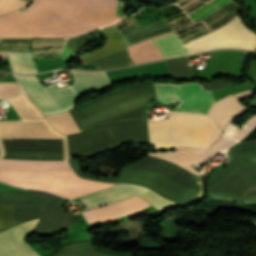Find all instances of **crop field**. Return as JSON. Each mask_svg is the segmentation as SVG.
Masks as SVG:
<instances>
[{
	"mask_svg": "<svg viewBox=\"0 0 256 256\" xmlns=\"http://www.w3.org/2000/svg\"><path fill=\"white\" fill-rule=\"evenodd\" d=\"M117 0H33L0 17V38L71 37L113 22Z\"/></svg>",
	"mask_w": 256,
	"mask_h": 256,
	"instance_id": "1",
	"label": "crop field"
},
{
	"mask_svg": "<svg viewBox=\"0 0 256 256\" xmlns=\"http://www.w3.org/2000/svg\"><path fill=\"white\" fill-rule=\"evenodd\" d=\"M189 168L190 156L182 152L150 153ZM147 155L125 166L119 182L147 187L153 192L175 202L186 203L199 193L200 175L160 157Z\"/></svg>",
	"mask_w": 256,
	"mask_h": 256,
	"instance_id": "2",
	"label": "crop field"
},
{
	"mask_svg": "<svg viewBox=\"0 0 256 256\" xmlns=\"http://www.w3.org/2000/svg\"><path fill=\"white\" fill-rule=\"evenodd\" d=\"M0 169L31 172H73L68 161L0 159ZM0 180L12 184L49 190L70 199L109 188L115 184L90 181L75 173H28L0 171Z\"/></svg>",
	"mask_w": 256,
	"mask_h": 256,
	"instance_id": "3",
	"label": "crop field"
},
{
	"mask_svg": "<svg viewBox=\"0 0 256 256\" xmlns=\"http://www.w3.org/2000/svg\"><path fill=\"white\" fill-rule=\"evenodd\" d=\"M256 143L235 145L231 162L221 172L208 176L209 194L237 204L256 203Z\"/></svg>",
	"mask_w": 256,
	"mask_h": 256,
	"instance_id": "4",
	"label": "crop field"
},
{
	"mask_svg": "<svg viewBox=\"0 0 256 256\" xmlns=\"http://www.w3.org/2000/svg\"><path fill=\"white\" fill-rule=\"evenodd\" d=\"M155 93L150 84L113 93L69 111L80 131L91 126L128 119H145L144 109Z\"/></svg>",
	"mask_w": 256,
	"mask_h": 256,
	"instance_id": "5",
	"label": "crop field"
},
{
	"mask_svg": "<svg viewBox=\"0 0 256 256\" xmlns=\"http://www.w3.org/2000/svg\"><path fill=\"white\" fill-rule=\"evenodd\" d=\"M147 125L150 143L158 149L182 145L207 149L221 135L202 114L169 113L167 119Z\"/></svg>",
	"mask_w": 256,
	"mask_h": 256,
	"instance_id": "6",
	"label": "crop field"
},
{
	"mask_svg": "<svg viewBox=\"0 0 256 256\" xmlns=\"http://www.w3.org/2000/svg\"><path fill=\"white\" fill-rule=\"evenodd\" d=\"M69 71L74 85L60 89L54 84L43 87L34 75L16 77L44 115L72 109L76 96L112 86L105 72Z\"/></svg>",
	"mask_w": 256,
	"mask_h": 256,
	"instance_id": "7",
	"label": "crop field"
},
{
	"mask_svg": "<svg viewBox=\"0 0 256 256\" xmlns=\"http://www.w3.org/2000/svg\"><path fill=\"white\" fill-rule=\"evenodd\" d=\"M164 58L218 48H242L255 51L256 34L237 15L222 27L185 43L175 33L153 40Z\"/></svg>",
	"mask_w": 256,
	"mask_h": 256,
	"instance_id": "8",
	"label": "crop field"
},
{
	"mask_svg": "<svg viewBox=\"0 0 256 256\" xmlns=\"http://www.w3.org/2000/svg\"><path fill=\"white\" fill-rule=\"evenodd\" d=\"M28 191L48 202L41 213L39 221L35 219L0 233V256H39L25 242L37 221L38 223L32 233L64 229L77 222L71 216L55 207L62 198L45 192Z\"/></svg>",
	"mask_w": 256,
	"mask_h": 256,
	"instance_id": "9",
	"label": "crop field"
},
{
	"mask_svg": "<svg viewBox=\"0 0 256 256\" xmlns=\"http://www.w3.org/2000/svg\"><path fill=\"white\" fill-rule=\"evenodd\" d=\"M121 141H148L146 121H123L98 125L67 136L69 157L85 156Z\"/></svg>",
	"mask_w": 256,
	"mask_h": 256,
	"instance_id": "10",
	"label": "crop field"
},
{
	"mask_svg": "<svg viewBox=\"0 0 256 256\" xmlns=\"http://www.w3.org/2000/svg\"><path fill=\"white\" fill-rule=\"evenodd\" d=\"M159 102L171 104L178 102L174 110L202 111L207 113L213 105L212 93L204 91L200 83L178 85L153 84Z\"/></svg>",
	"mask_w": 256,
	"mask_h": 256,
	"instance_id": "11",
	"label": "crop field"
},
{
	"mask_svg": "<svg viewBox=\"0 0 256 256\" xmlns=\"http://www.w3.org/2000/svg\"><path fill=\"white\" fill-rule=\"evenodd\" d=\"M133 194L142 196L143 198L151 202L157 210L175 203L156 195L155 193L146 188L121 183L110 189L100 191L88 196L80 197V200L89 209L98 205L129 197Z\"/></svg>",
	"mask_w": 256,
	"mask_h": 256,
	"instance_id": "12",
	"label": "crop field"
},
{
	"mask_svg": "<svg viewBox=\"0 0 256 256\" xmlns=\"http://www.w3.org/2000/svg\"><path fill=\"white\" fill-rule=\"evenodd\" d=\"M148 206L151 205L145 200L137 196H132L127 199L115 202L113 204L86 210L82 212V215L85 217L88 223L100 222L113 219L128 213L136 212Z\"/></svg>",
	"mask_w": 256,
	"mask_h": 256,
	"instance_id": "13",
	"label": "crop field"
},
{
	"mask_svg": "<svg viewBox=\"0 0 256 256\" xmlns=\"http://www.w3.org/2000/svg\"><path fill=\"white\" fill-rule=\"evenodd\" d=\"M244 112H246V108L229 95L215 102L208 111L207 116L218 130L223 132L227 122L243 115Z\"/></svg>",
	"mask_w": 256,
	"mask_h": 256,
	"instance_id": "14",
	"label": "crop field"
},
{
	"mask_svg": "<svg viewBox=\"0 0 256 256\" xmlns=\"http://www.w3.org/2000/svg\"><path fill=\"white\" fill-rule=\"evenodd\" d=\"M101 34L105 40L104 45L94 52L82 55L86 63L94 61L126 46L124 39L117 31L114 24L102 28Z\"/></svg>",
	"mask_w": 256,
	"mask_h": 256,
	"instance_id": "15",
	"label": "crop field"
},
{
	"mask_svg": "<svg viewBox=\"0 0 256 256\" xmlns=\"http://www.w3.org/2000/svg\"><path fill=\"white\" fill-rule=\"evenodd\" d=\"M173 33L168 31L128 46V53L134 64L162 59L163 56L151 40Z\"/></svg>",
	"mask_w": 256,
	"mask_h": 256,
	"instance_id": "16",
	"label": "crop field"
},
{
	"mask_svg": "<svg viewBox=\"0 0 256 256\" xmlns=\"http://www.w3.org/2000/svg\"><path fill=\"white\" fill-rule=\"evenodd\" d=\"M51 256H127L116 255L97 251L92 245V241H83L62 245Z\"/></svg>",
	"mask_w": 256,
	"mask_h": 256,
	"instance_id": "17",
	"label": "crop field"
},
{
	"mask_svg": "<svg viewBox=\"0 0 256 256\" xmlns=\"http://www.w3.org/2000/svg\"><path fill=\"white\" fill-rule=\"evenodd\" d=\"M233 143H235L234 140L221 135L220 138L211 145V149L210 150L207 149L209 150L208 152H206L207 150L188 148V147H179V148H176V150H181V151L190 153V155H192V163L206 152L202 157H200L196 162L193 163L195 165H198V164H201L202 161L212 157L214 154L220 152L226 147L232 145Z\"/></svg>",
	"mask_w": 256,
	"mask_h": 256,
	"instance_id": "18",
	"label": "crop field"
},
{
	"mask_svg": "<svg viewBox=\"0 0 256 256\" xmlns=\"http://www.w3.org/2000/svg\"><path fill=\"white\" fill-rule=\"evenodd\" d=\"M7 56L12 72H37L31 52H7Z\"/></svg>",
	"mask_w": 256,
	"mask_h": 256,
	"instance_id": "19",
	"label": "crop field"
},
{
	"mask_svg": "<svg viewBox=\"0 0 256 256\" xmlns=\"http://www.w3.org/2000/svg\"><path fill=\"white\" fill-rule=\"evenodd\" d=\"M45 117L54 128H56L58 131L64 134L79 131V129L77 128L76 124L74 123L68 112L50 114L46 115Z\"/></svg>",
	"mask_w": 256,
	"mask_h": 256,
	"instance_id": "20",
	"label": "crop field"
},
{
	"mask_svg": "<svg viewBox=\"0 0 256 256\" xmlns=\"http://www.w3.org/2000/svg\"><path fill=\"white\" fill-rule=\"evenodd\" d=\"M256 124V115H252L240 127L229 123L224 131V135L235 139L242 138Z\"/></svg>",
	"mask_w": 256,
	"mask_h": 256,
	"instance_id": "21",
	"label": "crop field"
},
{
	"mask_svg": "<svg viewBox=\"0 0 256 256\" xmlns=\"http://www.w3.org/2000/svg\"><path fill=\"white\" fill-rule=\"evenodd\" d=\"M187 61H188L187 57L166 61L168 65L170 77L192 75L190 69L186 66Z\"/></svg>",
	"mask_w": 256,
	"mask_h": 256,
	"instance_id": "22",
	"label": "crop field"
},
{
	"mask_svg": "<svg viewBox=\"0 0 256 256\" xmlns=\"http://www.w3.org/2000/svg\"><path fill=\"white\" fill-rule=\"evenodd\" d=\"M13 205H0V232L13 227Z\"/></svg>",
	"mask_w": 256,
	"mask_h": 256,
	"instance_id": "23",
	"label": "crop field"
},
{
	"mask_svg": "<svg viewBox=\"0 0 256 256\" xmlns=\"http://www.w3.org/2000/svg\"><path fill=\"white\" fill-rule=\"evenodd\" d=\"M21 93L18 82H0V99L15 97Z\"/></svg>",
	"mask_w": 256,
	"mask_h": 256,
	"instance_id": "24",
	"label": "crop field"
},
{
	"mask_svg": "<svg viewBox=\"0 0 256 256\" xmlns=\"http://www.w3.org/2000/svg\"><path fill=\"white\" fill-rule=\"evenodd\" d=\"M26 2L20 0H0V15H4L14 9H18Z\"/></svg>",
	"mask_w": 256,
	"mask_h": 256,
	"instance_id": "25",
	"label": "crop field"
},
{
	"mask_svg": "<svg viewBox=\"0 0 256 256\" xmlns=\"http://www.w3.org/2000/svg\"><path fill=\"white\" fill-rule=\"evenodd\" d=\"M70 165L72 166V168L75 170L76 174L84 177L86 179H91V180H96V181H107V182H114L117 183V179L118 178H99V177H94V176H89V175H85L82 173L80 167L78 166V164L74 161L73 158H69L68 159Z\"/></svg>",
	"mask_w": 256,
	"mask_h": 256,
	"instance_id": "26",
	"label": "crop field"
},
{
	"mask_svg": "<svg viewBox=\"0 0 256 256\" xmlns=\"http://www.w3.org/2000/svg\"><path fill=\"white\" fill-rule=\"evenodd\" d=\"M229 85H233V83L228 82V81H222V80H218V81H214L211 83H207V84H203L204 89L206 90H216L225 86H229Z\"/></svg>",
	"mask_w": 256,
	"mask_h": 256,
	"instance_id": "27",
	"label": "crop field"
},
{
	"mask_svg": "<svg viewBox=\"0 0 256 256\" xmlns=\"http://www.w3.org/2000/svg\"><path fill=\"white\" fill-rule=\"evenodd\" d=\"M241 142H256V126L238 143Z\"/></svg>",
	"mask_w": 256,
	"mask_h": 256,
	"instance_id": "28",
	"label": "crop field"
},
{
	"mask_svg": "<svg viewBox=\"0 0 256 256\" xmlns=\"http://www.w3.org/2000/svg\"><path fill=\"white\" fill-rule=\"evenodd\" d=\"M0 191L27 192L24 189L15 188V187L4 185V184H1V183H0Z\"/></svg>",
	"mask_w": 256,
	"mask_h": 256,
	"instance_id": "29",
	"label": "crop field"
},
{
	"mask_svg": "<svg viewBox=\"0 0 256 256\" xmlns=\"http://www.w3.org/2000/svg\"><path fill=\"white\" fill-rule=\"evenodd\" d=\"M251 90L250 91H246V92H242V93H238V94H234V97L237 99V101L243 99V98H247V97H251Z\"/></svg>",
	"mask_w": 256,
	"mask_h": 256,
	"instance_id": "30",
	"label": "crop field"
},
{
	"mask_svg": "<svg viewBox=\"0 0 256 256\" xmlns=\"http://www.w3.org/2000/svg\"><path fill=\"white\" fill-rule=\"evenodd\" d=\"M24 95V97L27 99V101L31 104V106L35 109V111L40 115L41 118H43L44 116L40 113V111L34 106V104L30 101V99L28 98V96L25 93H22Z\"/></svg>",
	"mask_w": 256,
	"mask_h": 256,
	"instance_id": "31",
	"label": "crop field"
},
{
	"mask_svg": "<svg viewBox=\"0 0 256 256\" xmlns=\"http://www.w3.org/2000/svg\"><path fill=\"white\" fill-rule=\"evenodd\" d=\"M8 74L7 73H1L0 72V81L5 78Z\"/></svg>",
	"mask_w": 256,
	"mask_h": 256,
	"instance_id": "32",
	"label": "crop field"
},
{
	"mask_svg": "<svg viewBox=\"0 0 256 256\" xmlns=\"http://www.w3.org/2000/svg\"><path fill=\"white\" fill-rule=\"evenodd\" d=\"M5 53L6 52H0V58H4L5 57Z\"/></svg>",
	"mask_w": 256,
	"mask_h": 256,
	"instance_id": "33",
	"label": "crop field"
},
{
	"mask_svg": "<svg viewBox=\"0 0 256 256\" xmlns=\"http://www.w3.org/2000/svg\"><path fill=\"white\" fill-rule=\"evenodd\" d=\"M24 1H27V2H29L30 0H24Z\"/></svg>",
	"mask_w": 256,
	"mask_h": 256,
	"instance_id": "34",
	"label": "crop field"
}]
</instances>
